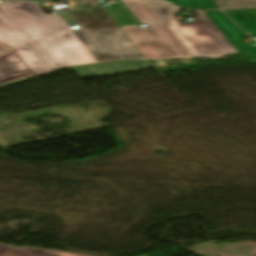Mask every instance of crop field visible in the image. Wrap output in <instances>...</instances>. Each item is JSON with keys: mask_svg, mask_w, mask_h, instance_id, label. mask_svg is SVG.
Wrapping results in <instances>:
<instances>
[{"mask_svg": "<svg viewBox=\"0 0 256 256\" xmlns=\"http://www.w3.org/2000/svg\"><path fill=\"white\" fill-rule=\"evenodd\" d=\"M0 41L16 48L0 57V86L59 67L147 60L121 28L71 31L28 2L0 1Z\"/></svg>", "mask_w": 256, "mask_h": 256, "instance_id": "1", "label": "crop field"}, {"mask_svg": "<svg viewBox=\"0 0 256 256\" xmlns=\"http://www.w3.org/2000/svg\"><path fill=\"white\" fill-rule=\"evenodd\" d=\"M104 9L148 60L192 58L144 0H115ZM146 23L149 28H140Z\"/></svg>", "mask_w": 256, "mask_h": 256, "instance_id": "2", "label": "crop field"}, {"mask_svg": "<svg viewBox=\"0 0 256 256\" xmlns=\"http://www.w3.org/2000/svg\"><path fill=\"white\" fill-rule=\"evenodd\" d=\"M145 1L193 57L220 58L238 53L203 11H197L200 21L181 24L175 15L179 8L161 1Z\"/></svg>", "mask_w": 256, "mask_h": 256, "instance_id": "3", "label": "crop field"}, {"mask_svg": "<svg viewBox=\"0 0 256 256\" xmlns=\"http://www.w3.org/2000/svg\"><path fill=\"white\" fill-rule=\"evenodd\" d=\"M239 53L256 54V47L243 42L247 37L232 21L220 11H204ZM250 36H256V19L249 13L226 14Z\"/></svg>", "mask_w": 256, "mask_h": 256, "instance_id": "4", "label": "crop field"}, {"mask_svg": "<svg viewBox=\"0 0 256 256\" xmlns=\"http://www.w3.org/2000/svg\"><path fill=\"white\" fill-rule=\"evenodd\" d=\"M153 67L149 61H118L73 68L81 78L113 72Z\"/></svg>", "mask_w": 256, "mask_h": 256, "instance_id": "5", "label": "crop field"}, {"mask_svg": "<svg viewBox=\"0 0 256 256\" xmlns=\"http://www.w3.org/2000/svg\"><path fill=\"white\" fill-rule=\"evenodd\" d=\"M0 256H89L31 247H11L0 243Z\"/></svg>", "mask_w": 256, "mask_h": 256, "instance_id": "6", "label": "crop field"}, {"mask_svg": "<svg viewBox=\"0 0 256 256\" xmlns=\"http://www.w3.org/2000/svg\"><path fill=\"white\" fill-rule=\"evenodd\" d=\"M189 9H218L214 0H167Z\"/></svg>", "mask_w": 256, "mask_h": 256, "instance_id": "7", "label": "crop field"}, {"mask_svg": "<svg viewBox=\"0 0 256 256\" xmlns=\"http://www.w3.org/2000/svg\"><path fill=\"white\" fill-rule=\"evenodd\" d=\"M219 8H243L256 6V0H215Z\"/></svg>", "mask_w": 256, "mask_h": 256, "instance_id": "8", "label": "crop field"}, {"mask_svg": "<svg viewBox=\"0 0 256 256\" xmlns=\"http://www.w3.org/2000/svg\"><path fill=\"white\" fill-rule=\"evenodd\" d=\"M59 15L65 20L67 24L75 22V20L70 16L68 12L60 13Z\"/></svg>", "mask_w": 256, "mask_h": 256, "instance_id": "9", "label": "crop field"}, {"mask_svg": "<svg viewBox=\"0 0 256 256\" xmlns=\"http://www.w3.org/2000/svg\"><path fill=\"white\" fill-rule=\"evenodd\" d=\"M0 49L3 50V51H5V52H8V51H10V50H12V49H14V48H12V47H10V46H8V45H6V44L0 42Z\"/></svg>", "mask_w": 256, "mask_h": 256, "instance_id": "10", "label": "crop field"}, {"mask_svg": "<svg viewBox=\"0 0 256 256\" xmlns=\"http://www.w3.org/2000/svg\"><path fill=\"white\" fill-rule=\"evenodd\" d=\"M4 53H5V52H3V51L0 50V55H2V54H4Z\"/></svg>", "mask_w": 256, "mask_h": 256, "instance_id": "11", "label": "crop field"}, {"mask_svg": "<svg viewBox=\"0 0 256 256\" xmlns=\"http://www.w3.org/2000/svg\"><path fill=\"white\" fill-rule=\"evenodd\" d=\"M37 1H44V0H37Z\"/></svg>", "mask_w": 256, "mask_h": 256, "instance_id": "12", "label": "crop field"}, {"mask_svg": "<svg viewBox=\"0 0 256 256\" xmlns=\"http://www.w3.org/2000/svg\"><path fill=\"white\" fill-rule=\"evenodd\" d=\"M2 112H0V114H1Z\"/></svg>", "mask_w": 256, "mask_h": 256, "instance_id": "13", "label": "crop field"}]
</instances>
